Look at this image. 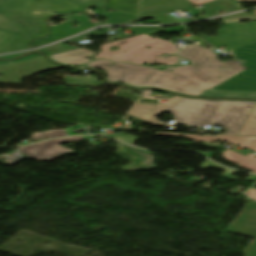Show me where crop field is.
<instances>
[{"label": "crop field", "instance_id": "1", "mask_svg": "<svg viewBox=\"0 0 256 256\" xmlns=\"http://www.w3.org/2000/svg\"><path fill=\"white\" fill-rule=\"evenodd\" d=\"M178 54L182 58L190 59V63L195 66L169 68L173 70L168 72L169 69H167L161 72L125 63H117V65L112 66L108 64L110 61L100 60L89 63L86 67L108 70L105 72L108 75L106 80L110 82L120 80L134 87H154L193 96H200L205 89H210L246 69L234 62H220L213 59L211 57L215 54L200 46L192 45ZM101 62L103 64H100ZM123 73L124 75H122ZM218 76L221 78H217Z\"/></svg>", "mask_w": 256, "mask_h": 256}, {"label": "crop field", "instance_id": "2", "mask_svg": "<svg viewBox=\"0 0 256 256\" xmlns=\"http://www.w3.org/2000/svg\"><path fill=\"white\" fill-rule=\"evenodd\" d=\"M252 109L234 103L183 98L165 112L174 114L176 124L200 128L218 125L229 130L225 134L238 135Z\"/></svg>", "mask_w": 256, "mask_h": 256}, {"label": "crop field", "instance_id": "3", "mask_svg": "<svg viewBox=\"0 0 256 256\" xmlns=\"http://www.w3.org/2000/svg\"><path fill=\"white\" fill-rule=\"evenodd\" d=\"M183 30L186 29L183 26H180L157 32L172 33ZM157 32L124 39L114 43H107L100 47L102 52L96 55L95 59L104 58L109 60H117L118 58L122 61L139 64L144 62L163 63L167 65L176 64L178 62V58L175 55L171 58H155L156 56L162 55L163 53L175 54L178 51L169 41L162 39L152 40L149 37ZM112 46H117L119 49L111 51L110 47ZM147 46H149L150 49H145ZM123 50H125L126 53H122Z\"/></svg>", "mask_w": 256, "mask_h": 256}, {"label": "crop field", "instance_id": "4", "mask_svg": "<svg viewBox=\"0 0 256 256\" xmlns=\"http://www.w3.org/2000/svg\"><path fill=\"white\" fill-rule=\"evenodd\" d=\"M156 135H163V136H185L194 141H228L232 144H238L243 146L247 149H251L256 151V137H241V136H229V135H219L217 137L214 136H199V135H183L180 133H166V132H156ZM255 141L252 143L251 141ZM224 157L241 167H244L252 172L256 173V155L252 153H248L249 157L242 156L238 153H235L231 150H228L223 153Z\"/></svg>", "mask_w": 256, "mask_h": 256}, {"label": "crop field", "instance_id": "5", "mask_svg": "<svg viewBox=\"0 0 256 256\" xmlns=\"http://www.w3.org/2000/svg\"><path fill=\"white\" fill-rule=\"evenodd\" d=\"M234 53L247 60L251 72L247 69L212 89L256 91V42L240 47Z\"/></svg>", "mask_w": 256, "mask_h": 256}, {"label": "crop field", "instance_id": "6", "mask_svg": "<svg viewBox=\"0 0 256 256\" xmlns=\"http://www.w3.org/2000/svg\"><path fill=\"white\" fill-rule=\"evenodd\" d=\"M228 28L217 30L219 35L210 38L200 35L204 40L217 46L224 44L229 48L256 40V23H232L227 24Z\"/></svg>", "mask_w": 256, "mask_h": 256}, {"label": "crop field", "instance_id": "7", "mask_svg": "<svg viewBox=\"0 0 256 256\" xmlns=\"http://www.w3.org/2000/svg\"><path fill=\"white\" fill-rule=\"evenodd\" d=\"M59 67L62 66L54 65L48 62L44 57L1 66L0 74H3V76L0 77V82L19 83L21 78H24L33 73Z\"/></svg>", "mask_w": 256, "mask_h": 256}, {"label": "crop field", "instance_id": "8", "mask_svg": "<svg viewBox=\"0 0 256 256\" xmlns=\"http://www.w3.org/2000/svg\"><path fill=\"white\" fill-rule=\"evenodd\" d=\"M76 140L83 139L82 137H69L44 141L34 145L22 147L18 150L31 159L50 161L72 151L59 144ZM34 149H37V151H35Z\"/></svg>", "mask_w": 256, "mask_h": 256}, {"label": "crop field", "instance_id": "9", "mask_svg": "<svg viewBox=\"0 0 256 256\" xmlns=\"http://www.w3.org/2000/svg\"><path fill=\"white\" fill-rule=\"evenodd\" d=\"M229 231L256 238V202L248 203L247 207L234 221ZM247 256H256V239L245 250Z\"/></svg>", "mask_w": 256, "mask_h": 256}, {"label": "crop field", "instance_id": "10", "mask_svg": "<svg viewBox=\"0 0 256 256\" xmlns=\"http://www.w3.org/2000/svg\"><path fill=\"white\" fill-rule=\"evenodd\" d=\"M181 98H183V96L175 95L169 100L168 103L159 104L157 106L136 104L134 108L128 113V115L135 116L147 122L155 115L163 112L165 109H167L169 106H171L173 103Z\"/></svg>", "mask_w": 256, "mask_h": 256}, {"label": "crop field", "instance_id": "11", "mask_svg": "<svg viewBox=\"0 0 256 256\" xmlns=\"http://www.w3.org/2000/svg\"><path fill=\"white\" fill-rule=\"evenodd\" d=\"M92 54L93 53L88 50L79 49V50L65 52V53H61V54H57L49 57L51 60L57 63L81 66L85 62H89L84 57L90 56Z\"/></svg>", "mask_w": 256, "mask_h": 256}, {"label": "crop field", "instance_id": "12", "mask_svg": "<svg viewBox=\"0 0 256 256\" xmlns=\"http://www.w3.org/2000/svg\"><path fill=\"white\" fill-rule=\"evenodd\" d=\"M100 11H103L105 14H102V12ZM94 13L97 15L106 17L107 18L106 21L108 22V24H121L136 17L133 15H129V14H125L117 11L112 13H107L105 9L95 11Z\"/></svg>", "mask_w": 256, "mask_h": 256}, {"label": "crop field", "instance_id": "13", "mask_svg": "<svg viewBox=\"0 0 256 256\" xmlns=\"http://www.w3.org/2000/svg\"><path fill=\"white\" fill-rule=\"evenodd\" d=\"M239 135L256 136V106L254 107Z\"/></svg>", "mask_w": 256, "mask_h": 256}, {"label": "crop field", "instance_id": "14", "mask_svg": "<svg viewBox=\"0 0 256 256\" xmlns=\"http://www.w3.org/2000/svg\"><path fill=\"white\" fill-rule=\"evenodd\" d=\"M200 167H201V169H207V168H210V167H212V168H221V169L225 170L224 177L229 178V179H240V178H237V177H234V176L230 175V174H234V173H236L238 171L226 169V168H224V167H222V166H220V165H218V164H216L214 162H211L209 160L205 161L202 165H200ZM244 180L256 181V175L251 174L250 176H248Z\"/></svg>", "mask_w": 256, "mask_h": 256}, {"label": "crop field", "instance_id": "15", "mask_svg": "<svg viewBox=\"0 0 256 256\" xmlns=\"http://www.w3.org/2000/svg\"><path fill=\"white\" fill-rule=\"evenodd\" d=\"M68 86H99L95 80L89 77H66L64 78Z\"/></svg>", "mask_w": 256, "mask_h": 256}, {"label": "crop field", "instance_id": "16", "mask_svg": "<svg viewBox=\"0 0 256 256\" xmlns=\"http://www.w3.org/2000/svg\"><path fill=\"white\" fill-rule=\"evenodd\" d=\"M224 23H231V22H238L240 19H246V20H254L256 19V13H237L233 15L223 16L221 17Z\"/></svg>", "mask_w": 256, "mask_h": 256}, {"label": "crop field", "instance_id": "17", "mask_svg": "<svg viewBox=\"0 0 256 256\" xmlns=\"http://www.w3.org/2000/svg\"><path fill=\"white\" fill-rule=\"evenodd\" d=\"M64 135H66L64 130H51L43 133H35L32 135L31 140H35L38 138H51V137L64 136Z\"/></svg>", "mask_w": 256, "mask_h": 256}, {"label": "crop field", "instance_id": "18", "mask_svg": "<svg viewBox=\"0 0 256 256\" xmlns=\"http://www.w3.org/2000/svg\"><path fill=\"white\" fill-rule=\"evenodd\" d=\"M65 42V41H64ZM46 51V54H53V53H57V52H61V51H68V50H72L73 48L64 45L63 42H60L58 44L52 45L50 47L44 48Z\"/></svg>", "mask_w": 256, "mask_h": 256}, {"label": "crop field", "instance_id": "19", "mask_svg": "<svg viewBox=\"0 0 256 256\" xmlns=\"http://www.w3.org/2000/svg\"><path fill=\"white\" fill-rule=\"evenodd\" d=\"M161 29V27H131L129 30L133 33L134 36H136Z\"/></svg>", "mask_w": 256, "mask_h": 256}, {"label": "crop field", "instance_id": "20", "mask_svg": "<svg viewBox=\"0 0 256 256\" xmlns=\"http://www.w3.org/2000/svg\"><path fill=\"white\" fill-rule=\"evenodd\" d=\"M104 136H108V137H111L126 143H130V144L135 143L136 140L138 139L137 137L131 136L128 134H115V135H104Z\"/></svg>", "mask_w": 256, "mask_h": 256}, {"label": "crop field", "instance_id": "21", "mask_svg": "<svg viewBox=\"0 0 256 256\" xmlns=\"http://www.w3.org/2000/svg\"><path fill=\"white\" fill-rule=\"evenodd\" d=\"M85 9L91 8L99 3H101V0H73Z\"/></svg>", "mask_w": 256, "mask_h": 256}, {"label": "crop field", "instance_id": "22", "mask_svg": "<svg viewBox=\"0 0 256 256\" xmlns=\"http://www.w3.org/2000/svg\"><path fill=\"white\" fill-rule=\"evenodd\" d=\"M215 100V99H211ZM219 101H227V102H234V103H240V104H246V105H252L255 106L256 101H246V100H219Z\"/></svg>", "mask_w": 256, "mask_h": 256}, {"label": "crop field", "instance_id": "23", "mask_svg": "<svg viewBox=\"0 0 256 256\" xmlns=\"http://www.w3.org/2000/svg\"><path fill=\"white\" fill-rule=\"evenodd\" d=\"M190 3L193 5H199V4H204L213 0H188ZM238 2H243V1H251V2H256V0H237Z\"/></svg>", "mask_w": 256, "mask_h": 256}, {"label": "crop field", "instance_id": "24", "mask_svg": "<svg viewBox=\"0 0 256 256\" xmlns=\"http://www.w3.org/2000/svg\"><path fill=\"white\" fill-rule=\"evenodd\" d=\"M94 34H96V33L93 32V31H91V32H89V33L83 34V35H81V36L75 37V38L70 39V40H71V41H76V40H78V39H81V38H84V37H88V36H91V35H94Z\"/></svg>", "mask_w": 256, "mask_h": 256}, {"label": "crop field", "instance_id": "25", "mask_svg": "<svg viewBox=\"0 0 256 256\" xmlns=\"http://www.w3.org/2000/svg\"><path fill=\"white\" fill-rule=\"evenodd\" d=\"M247 193L250 198L256 199V190L250 189L249 191H247Z\"/></svg>", "mask_w": 256, "mask_h": 256}, {"label": "crop field", "instance_id": "26", "mask_svg": "<svg viewBox=\"0 0 256 256\" xmlns=\"http://www.w3.org/2000/svg\"><path fill=\"white\" fill-rule=\"evenodd\" d=\"M149 122L152 123V124H154V125L167 126V124L160 123V122L157 121V119H155V118L151 119Z\"/></svg>", "mask_w": 256, "mask_h": 256}, {"label": "crop field", "instance_id": "27", "mask_svg": "<svg viewBox=\"0 0 256 256\" xmlns=\"http://www.w3.org/2000/svg\"><path fill=\"white\" fill-rule=\"evenodd\" d=\"M195 38H196L197 40H199L202 45H206V44H204L197 36H195Z\"/></svg>", "mask_w": 256, "mask_h": 256}]
</instances>
